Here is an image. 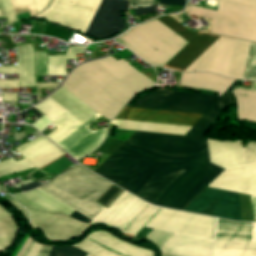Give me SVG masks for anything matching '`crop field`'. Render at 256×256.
I'll return each instance as SVG.
<instances>
[{
  "instance_id": "8a807250",
  "label": "crop field",
  "mask_w": 256,
  "mask_h": 256,
  "mask_svg": "<svg viewBox=\"0 0 256 256\" xmlns=\"http://www.w3.org/2000/svg\"><path fill=\"white\" fill-rule=\"evenodd\" d=\"M235 80L184 136L136 131L94 172L139 198L181 210L224 169L209 163L205 133L233 104Z\"/></svg>"
},
{
  "instance_id": "ac0d7876",
  "label": "crop field",
  "mask_w": 256,
  "mask_h": 256,
  "mask_svg": "<svg viewBox=\"0 0 256 256\" xmlns=\"http://www.w3.org/2000/svg\"><path fill=\"white\" fill-rule=\"evenodd\" d=\"M162 23L189 43L164 67L182 71L219 36L188 31L169 15L158 17ZM250 42L220 36L183 71H207L242 79ZM243 79L256 80V43L250 44Z\"/></svg>"
},
{
  "instance_id": "34b2d1b8",
  "label": "crop field",
  "mask_w": 256,
  "mask_h": 256,
  "mask_svg": "<svg viewBox=\"0 0 256 256\" xmlns=\"http://www.w3.org/2000/svg\"><path fill=\"white\" fill-rule=\"evenodd\" d=\"M92 62L134 94L155 85L122 59L117 61L108 56ZM94 64L88 62L76 67L66 81L116 115L134 94ZM66 81L62 86L97 113L110 120L115 116Z\"/></svg>"
},
{
  "instance_id": "412701ff",
  "label": "crop field",
  "mask_w": 256,
  "mask_h": 256,
  "mask_svg": "<svg viewBox=\"0 0 256 256\" xmlns=\"http://www.w3.org/2000/svg\"><path fill=\"white\" fill-rule=\"evenodd\" d=\"M218 97L216 95L158 90L144 95L137 102L207 110ZM140 103H135L133 107L124 106L115 118L192 126L205 112Z\"/></svg>"
},
{
  "instance_id": "f4fd0767",
  "label": "crop field",
  "mask_w": 256,
  "mask_h": 256,
  "mask_svg": "<svg viewBox=\"0 0 256 256\" xmlns=\"http://www.w3.org/2000/svg\"><path fill=\"white\" fill-rule=\"evenodd\" d=\"M57 178L95 201L112 184L80 165ZM57 178L40 188L90 219H93L104 209L95 201Z\"/></svg>"
},
{
  "instance_id": "dd49c442",
  "label": "crop field",
  "mask_w": 256,
  "mask_h": 256,
  "mask_svg": "<svg viewBox=\"0 0 256 256\" xmlns=\"http://www.w3.org/2000/svg\"><path fill=\"white\" fill-rule=\"evenodd\" d=\"M116 41L149 64L162 67L188 43L156 19L130 29Z\"/></svg>"
},
{
  "instance_id": "e52e79f7",
  "label": "crop field",
  "mask_w": 256,
  "mask_h": 256,
  "mask_svg": "<svg viewBox=\"0 0 256 256\" xmlns=\"http://www.w3.org/2000/svg\"><path fill=\"white\" fill-rule=\"evenodd\" d=\"M188 13L212 19L211 33L256 42V0H219L217 11L191 6Z\"/></svg>"
},
{
  "instance_id": "d8731c3e",
  "label": "crop field",
  "mask_w": 256,
  "mask_h": 256,
  "mask_svg": "<svg viewBox=\"0 0 256 256\" xmlns=\"http://www.w3.org/2000/svg\"><path fill=\"white\" fill-rule=\"evenodd\" d=\"M215 218L162 208L145 226L211 239Z\"/></svg>"
},
{
  "instance_id": "5a996713",
  "label": "crop field",
  "mask_w": 256,
  "mask_h": 256,
  "mask_svg": "<svg viewBox=\"0 0 256 256\" xmlns=\"http://www.w3.org/2000/svg\"><path fill=\"white\" fill-rule=\"evenodd\" d=\"M101 0H54L35 18L58 23L85 32Z\"/></svg>"
},
{
  "instance_id": "3316defc",
  "label": "crop field",
  "mask_w": 256,
  "mask_h": 256,
  "mask_svg": "<svg viewBox=\"0 0 256 256\" xmlns=\"http://www.w3.org/2000/svg\"><path fill=\"white\" fill-rule=\"evenodd\" d=\"M184 210L242 221L238 194L210 187Z\"/></svg>"
},
{
  "instance_id": "28ad6ade",
  "label": "crop field",
  "mask_w": 256,
  "mask_h": 256,
  "mask_svg": "<svg viewBox=\"0 0 256 256\" xmlns=\"http://www.w3.org/2000/svg\"><path fill=\"white\" fill-rule=\"evenodd\" d=\"M74 246L94 256H156L153 252L135 247L102 230L90 233L82 242Z\"/></svg>"
},
{
  "instance_id": "d1516ede",
  "label": "crop field",
  "mask_w": 256,
  "mask_h": 256,
  "mask_svg": "<svg viewBox=\"0 0 256 256\" xmlns=\"http://www.w3.org/2000/svg\"><path fill=\"white\" fill-rule=\"evenodd\" d=\"M129 0H102L86 35L101 39L113 36L124 28L123 10H127Z\"/></svg>"
},
{
  "instance_id": "22f410ed",
  "label": "crop field",
  "mask_w": 256,
  "mask_h": 256,
  "mask_svg": "<svg viewBox=\"0 0 256 256\" xmlns=\"http://www.w3.org/2000/svg\"><path fill=\"white\" fill-rule=\"evenodd\" d=\"M210 162L224 169L256 163V143L208 139Z\"/></svg>"
},
{
  "instance_id": "cbeb9de0",
  "label": "crop field",
  "mask_w": 256,
  "mask_h": 256,
  "mask_svg": "<svg viewBox=\"0 0 256 256\" xmlns=\"http://www.w3.org/2000/svg\"><path fill=\"white\" fill-rule=\"evenodd\" d=\"M27 210L29 211V215H30V218H31V223L30 224L34 228L38 227V229L42 231L43 235H45L47 237V239L52 240V241H68V240H71V239L81 235L82 233H84L85 230L89 226H91V225L87 226L88 224L75 221V220H73L69 217L63 216V215H58V214H53L52 215V214H47V213H43V212H38V211H35V210H31V209H27ZM46 219H48V220L45 221ZM40 225H41L42 229L45 231V233L49 237L54 238V239L70 238V237L76 235L77 233H79L86 226L87 227L84 230H82L79 234H77L76 236H74L70 239H67V240H53V239H50L44 233V231L39 227Z\"/></svg>"
},
{
  "instance_id": "5142ce71",
  "label": "crop field",
  "mask_w": 256,
  "mask_h": 256,
  "mask_svg": "<svg viewBox=\"0 0 256 256\" xmlns=\"http://www.w3.org/2000/svg\"><path fill=\"white\" fill-rule=\"evenodd\" d=\"M97 113L57 145L75 159L97 148L103 141L107 128L91 131L86 127L99 117Z\"/></svg>"
},
{
  "instance_id": "d9b57169",
  "label": "crop field",
  "mask_w": 256,
  "mask_h": 256,
  "mask_svg": "<svg viewBox=\"0 0 256 256\" xmlns=\"http://www.w3.org/2000/svg\"><path fill=\"white\" fill-rule=\"evenodd\" d=\"M208 186L236 193L256 195V164L227 169Z\"/></svg>"
},
{
  "instance_id": "733c2abd",
  "label": "crop field",
  "mask_w": 256,
  "mask_h": 256,
  "mask_svg": "<svg viewBox=\"0 0 256 256\" xmlns=\"http://www.w3.org/2000/svg\"><path fill=\"white\" fill-rule=\"evenodd\" d=\"M213 241L175 234L160 250L182 256H211Z\"/></svg>"
},
{
  "instance_id": "4a817a6b",
  "label": "crop field",
  "mask_w": 256,
  "mask_h": 256,
  "mask_svg": "<svg viewBox=\"0 0 256 256\" xmlns=\"http://www.w3.org/2000/svg\"><path fill=\"white\" fill-rule=\"evenodd\" d=\"M14 197L24 206L45 212L70 215L75 211L39 188Z\"/></svg>"
},
{
  "instance_id": "bc2a9ffb",
  "label": "crop field",
  "mask_w": 256,
  "mask_h": 256,
  "mask_svg": "<svg viewBox=\"0 0 256 256\" xmlns=\"http://www.w3.org/2000/svg\"><path fill=\"white\" fill-rule=\"evenodd\" d=\"M19 154L39 169L65 153L45 138Z\"/></svg>"
},
{
  "instance_id": "214f88e0",
  "label": "crop field",
  "mask_w": 256,
  "mask_h": 256,
  "mask_svg": "<svg viewBox=\"0 0 256 256\" xmlns=\"http://www.w3.org/2000/svg\"><path fill=\"white\" fill-rule=\"evenodd\" d=\"M233 81L209 73H182L178 84L224 92Z\"/></svg>"
},
{
  "instance_id": "92a150f3",
  "label": "crop field",
  "mask_w": 256,
  "mask_h": 256,
  "mask_svg": "<svg viewBox=\"0 0 256 256\" xmlns=\"http://www.w3.org/2000/svg\"><path fill=\"white\" fill-rule=\"evenodd\" d=\"M49 97L82 122L96 113L62 86Z\"/></svg>"
},
{
  "instance_id": "dafd665d",
  "label": "crop field",
  "mask_w": 256,
  "mask_h": 256,
  "mask_svg": "<svg viewBox=\"0 0 256 256\" xmlns=\"http://www.w3.org/2000/svg\"><path fill=\"white\" fill-rule=\"evenodd\" d=\"M252 223L217 219L215 240L251 241Z\"/></svg>"
},
{
  "instance_id": "00972430",
  "label": "crop field",
  "mask_w": 256,
  "mask_h": 256,
  "mask_svg": "<svg viewBox=\"0 0 256 256\" xmlns=\"http://www.w3.org/2000/svg\"><path fill=\"white\" fill-rule=\"evenodd\" d=\"M17 47L19 87H34V59L31 44Z\"/></svg>"
},
{
  "instance_id": "a9b5d70f",
  "label": "crop field",
  "mask_w": 256,
  "mask_h": 256,
  "mask_svg": "<svg viewBox=\"0 0 256 256\" xmlns=\"http://www.w3.org/2000/svg\"><path fill=\"white\" fill-rule=\"evenodd\" d=\"M233 93L238 104L239 120L256 122V83L251 89L237 87Z\"/></svg>"
},
{
  "instance_id": "4177f3b9",
  "label": "crop field",
  "mask_w": 256,
  "mask_h": 256,
  "mask_svg": "<svg viewBox=\"0 0 256 256\" xmlns=\"http://www.w3.org/2000/svg\"><path fill=\"white\" fill-rule=\"evenodd\" d=\"M111 123L117 125L118 128H121V129L151 131V132L179 134V135H184L187 132V130L190 128L185 126L151 124V123H143V122L118 120V119H114L113 121H111Z\"/></svg>"
},
{
  "instance_id": "730fd06b",
  "label": "crop field",
  "mask_w": 256,
  "mask_h": 256,
  "mask_svg": "<svg viewBox=\"0 0 256 256\" xmlns=\"http://www.w3.org/2000/svg\"><path fill=\"white\" fill-rule=\"evenodd\" d=\"M146 205L147 203L135 197L107 226L122 231Z\"/></svg>"
},
{
  "instance_id": "eef30255",
  "label": "crop field",
  "mask_w": 256,
  "mask_h": 256,
  "mask_svg": "<svg viewBox=\"0 0 256 256\" xmlns=\"http://www.w3.org/2000/svg\"><path fill=\"white\" fill-rule=\"evenodd\" d=\"M81 124L79 120L67 112L52 124L57 128L46 137L57 144Z\"/></svg>"
},
{
  "instance_id": "ae1a2a85",
  "label": "crop field",
  "mask_w": 256,
  "mask_h": 256,
  "mask_svg": "<svg viewBox=\"0 0 256 256\" xmlns=\"http://www.w3.org/2000/svg\"><path fill=\"white\" fill-rule=\"evenodd\" d=\"M134 197L135 196L124 191L107 209L105 208L90 223H103L106 225Z\"/></svg>"
},
{
  "instance_id": "d3111659",
  "label": "crop field",
  "mask_w": 256,
  "mask_h": 256,
  "mask_svg": "<svg viewBox=\"0 0 256 256\" xmlns=\"http://www.w3.org/2000/svg\"><path fill=\"white\" fill-rule=\"evenodd\" d=\"M160 207L147 205L123 232L136 235L139 230L160 210Z\"/></svg>"
},
{
  "instance_id": "750c4746",
  "label": "crop field",
  "mask_w": 256,
  "mask_h": 256,
  "mask_svg": "<svg viewBox=\"0 0 256 256\" xmlns=\"http://www.w3.org/2000/svg\"><path fill=\"white\" fill-rule=\"evenodd\" d=\"M17 19H24L39 14L35 0H11Z\"/></svg>"
},
{
  "instance_id": "bd1437ed",
  "label": "crop field",
  "mask_w": 256,
  "mask_h": 256,
  "mask_svg": "<svg viewBox=\"0 0 256 256\" xmlns=\"http://www.w3.org/2000/svg\"><path fill=\"white\" fill-rule=\"evenodd\" d=\"M34 108H36L53 122L67 112L49 97Z\"/></svg>"
},
{
  "instance_id": "1d83c4d3",
  "label": "crop field",
  "mask_w": 256,
  "mask_h": 256,
  "mask_svg": "<svg viewBox=\"0 0 256 256\" xmlns=\"http://www.w3.org/2000/svg\"><path fill=\"white\" fill-rule=\"evenodd\" d=\"M33 168L25 159L15 162L12 158L0 162V177Z\"/></svg>"
},
{
  "instance_id": "120bbe31",
  "label": "crop field",
  "mask_w": 256,
  "mask_h": 256,
  "mask_svg": "<svg viewBox=\"0 0 256 256\" xmlns=\"http://www.w3.org/2000/svg\"><path fill=\"white\" fill-rule=\"evenodd\" d=\"M85 46L69 47L66 55L47 56L48 65L66 64V59H76L75 54L82 53Z\"/></svg>"
},
{
  "instance_id": "d32e631a",
  "label": "crop field",
  "mask_w": 256,
  "mask_h": 256,
  "mask_svg": "<svg viewBox=\"0 0 256 256\" xmlns=\"http://www.w3.org/2000/svg\"><path fill=\"white\" fill-rule=\"evenodd\" d=\"M214 249L256 250V243L215 241Z\"/></svg>"
},
{
  "instance_id": "5866460e",
  "label": "crop field",
  "mask_w": 256,
  "mask_h": 256,
  "mask_svg": "<svg viewBox=\"0 0 256 256\" xmlns=\"http://www.w3.org/2000/svg\"><path fill=\"white\" fill-rule=\"evenodd\" d=\"M43 34L58 37V38H61L65 41L69 42L71 37L74 35V32L63 29L61 27L46 24L45 28H44V31H43Z\"/></svg>"
},
{
  "instance_id": "028f5c9d",
  "label": "crop field",
  "mask_w": 256,
  "mask_h": 256,
  "mask_svg": "<svg viewBox=\"0 0 256 256\" xmlns=\"http://www.w3.org/2000/svg\"><path fill=\"white\" fill-rule=\"evenodd\" d=\"M174 234L153 229L146 237L161 248Z\"/></svg>"
},
{
  "instance_id": "e1f06a70",
  "label": "crop field",
  "mask_w": 256,
  "mask_h": 256,
  "mask_svg": "<svg viewBox=\"0 0 256 256\" xmlns=\"http://www.w3.org/2000/svg\"><path fill=\"white\" fill-rule=\"evenodd\" d=\"M48 256H86V253L74 247H52Z\"/></svg>"
},
{
  "instance_id": "0bd39190",
  "label": "crop field",
  "mask_w": 256,
  "mask_h": 256,
  "mask_svg": "<svg viewBox=\"0 0 256 256\" xmlns=\"http://www.w3.org/2000/svg\"><path fill=\"white\" fill-rule=\"evenodd\" d=\"M35 70L36 76L48 75L46 52H35Z\"/></svg>"
},
{
  "instance_id": "b80d0937",
  "label": "crop field",
  "mask_w": 256,
  "mask_h": 256,
  "mask_svg": "<svg viewBox=\"0 0 256 256\" xmlns=\"http://www.w3.org/2000/svg\"><path fill=\"white\" fill-rule=\"evenodd\" d=\"M121 190L112 184L96 202L106 206Z\"/></svg>"
},
{
  "instance_id": "c035e120",
  "label": "crop field",
  "mask_w": 256,
  "mask_h": 256,
  "mask_svg": "<svg viewBox=\"0 0 256 256\" xmlns=\"http://www.w3.org/2000/svg\"><path fill=\"white\" fill-rule=\"evenodd\" d=\"M18 228L15 221L0 223V237L17 235Z\"/></svg>"
},
{
  "instance_id": "c21b1889",
  "label": "crop field",
  "mask_w": 256,
  "mask_h": 256,
  "mask_svg": "<svg viewBox=\"0 0 256 256\" xmlns=\"http://www.w3.org/2000/svg\"><path fill=\"white\" fill-rule=\"evenodd\" d=\"M213 256H256V252L214 250Z\"/></svg>"
},
{
  "instance_id": "03da06ac",
  "label": "crop field",
  "mask_w": 256,
  "mask_h": 256,
  "mask_svg": "<svg viewBox=\"0 0 256 256\" xmlns=\"http://www.w3.org/2000/svg\"><path fill=\"white\" fill-rule=\"evenodd\" d=\"M1 2H2L4 11H5L7 20H8V23L10 24V23L16 21L17 19L15 17V14H14V11L12 9L10 1L9 0H1Z\"/></svg>"
},
{
  "instance_id": "b54c1fbb",
  "label": "crop field",
  "mask_w": 256,
  "mask_h": 256,
  "mask_svg": "<svg viewBox=\"0 0 256 256\" xmlns=\"http://www.w3.org/2000/svg\"><path fill=\"white\" fill-rule=\"evenodd\" d=\"M49 75H65V65L48 66Z\"/></svg>"
},
{
  "instance_id": "5d738f31",
  "label": "crop field",
  "mask_w": 256,
  "mask_h": 256,
  "mask_svg": "<svg viewBox=\"0 0 256 256\" xmlns=\"http://www.w3.org/2000/svg\"><path fill=\"white\" fill-rule=\"evenodd\" d=\"M16 238H17V236L10 237V238H1L0 239V251L9 248L13 244V242Z\"/></svg>"
},
{
  "instance_id": "d23c7cc5",
  "label": "crop field",
  "mask_w": 256,
  "mask_h": 256,
  "mask_svg": "<svg viewBox=\"0 0 256 256\" xmlns=\"http://www.w3.org/2000/svg\"><path fill=\"white\" fill-rule=\"evenodd\" d=\"M37 86V99L40 101V88L45 89H56L59 84L58 83H46V84H36Z\"/></svg>"
},
{
  "instance_id": "425ffa30",
  "label": "crop field",
  "mask_w": 256,
  "mask_h": 256,
  "mask_svg": "<svg viewBox=\"0 0 256 256\" xmlns=\"http://www.w3.org/2000/svg\"><path fill=\"white\" fill-rule=\"evenodd\" d=\"M0 88H18V80H0Z\"/></svg>"
},
{
  "instance_id": "25e5ab78",
  "label": "crop field",
  "mask_w": 256,
  "mask_h": 256,
  "mask_svg": "<svg viewBox=\"0 0 256 256\" xmlns=\"http://www.w3.org/2000/svg\"><path fill=\"white\" fill-rule=\"evenodd\" d=\"M50 123H52V122L50 120H48L46 117L43 116L36 123H34L32 126H34L36 129H38L40 131L41 129H43L44 127L49 125Z\"/></svg>"
},
{
  "instance_id": "73cf0c24",
  "label": "crop field",
  "mask_w": 256,
  "mask_h": 256,
  "mask_svg": "<svg viewBox=\"0 0 256 256\" xmlns=\"http://www.w3.org/2000/svg\"><path fill=\"white\" fill-rule=\"evenodd\" d=\"M43 138H45V137L40 136V137L36 138L35 140H33V141L27 143V144H26V143L23 144L22 146L18 147V148L15 149V150L19 153V152L23 151L24 149L28 148L29 146H31V145L35 144L36 142L40 141V140L43 139Z\"/></svg>"
},
{
  "instance_id": "89e229c0",
  "label": "crop field",
  "mask_w": 256,
  "mask_h": 256,
  "mask_svg": "<svg viewBox=\"0 0 256 256\" xmlns=\"http://www.w3.org/2000/svg\"><path fill=\"white\" fill-rule=\"evenodd\" d=\"M5 198L8 199L21 212V214L28 219L27 212L21 208L10 196L6 195Z\"/></svg>"
},
{
  "instance_id": "1f2cbd36",
  "label": "crop field",
  "mask_w": 256,
  "mask_h": 256,
  "mask_svg": "<svg viewBox=\"0 0 256 256\" xmlns=\"http://www.w3.org/2000/svg\"><path fill=\"white\" fill-rule=\"evenodd\" d=\"M133 11H134L135 15H138V14H143V13L154 12L156 10H155L154 6H151V7H146V8L135 9Z\"/></svg>"
},
{
  "instance_id": "dbb93151",
  "label": "crop field",
  "mask_w": 256,
  "mask_h": 256,
  "mask_svg": "<svg viewBox=\"0 0 256 256\" xmlns=\"http://www.w3.org/2000/svg\"><path fill=\"white\" fill-rule=\"evenodd\" d=\"M161 4L184 5L185 0H159Z\"/></svg>"
},
{
  "instance_id": "0fb4a251",
  "label": "crop field",
  "mask_w": 256,
  "mask_h": 256,
  "mask_svg": "<svg viewBox=\"0 0 256 256\" xmlns=\"http://www.w3.org/2000/svg\"><path fill=\"white\" fill-rule=\"evenodd\" d=\"M0 73H17V65L10 67H0Z\"/></svg>"
},
{
  "instance_id": "1d79db26",
  "label": "crop field",
  "mask_w": 256,
  "mask_h": 256,
  "mask_svg": "<svg viewBox=\"0 0 256 256\" xmlns=\"http://www.w3.org/2000/svg\"><path fill=\"white\" fill-rule=\"evenodd\" d=\"M40 247H41V244H38V243L34 242V244L31 247L29 253L27 254V256H36V254L38 253Z\"/></svg>"
},
{
  "instance_id": "9d1cf04e",
  "label": "crop field",
  "mask_w": 256,
  "mask_h": 256,
  "mask_svg": "<svg viewBox=\"0 0 256 256\" xmlns=\"http://www.w3.org/2000/svg\"><path fill=\"white\" fill-rule=\"evenodd\" d=\"M38 7H39V11L44 10L50 3V0H36Z\"/></svg>"
},
{
  "instance_id": "447ae74e",
  "label": "crop field",
  "mask_w": 256,
  "mask_h": 256,
  "mask_svg": "<svg viewBox=\"0 0 256 256\" xmlns=\"http://www.w3.org/2000/svg\"><path fill=\"white\" fill-rule=\"evenodd\" d=\"M73 218H76L78 220L84 221L86 223H88L90 220L86 217H84L83 215L79 214L78 212H74L73 214L70 215Z\"/></svg>"
},
{
  "instance_id": "0765c3eb",
  "label": "crop field",
  "mask_w": 256,
  "mask_h": 256,
  "mask_svg": "<svg viewBox=\"0 0 256 256\" xmlns=\"http://www.w3.org/2000/svg\"><path fill=\"white\" fill-rule=\"evenodd\" d=\"M5 101H17L18 94H2Z\"/></svg>"
},
{
  "instance_id": "db79e9e6",
  "label": "crop field",
  "mask_w": 256,
  "mask_h": 256,
  "mask_svg": "<svg viewBox=\"0 0 256 256\" xmlns=\"http://www.w3.org/2000/svg\"><path fill=\"white\" fill-rule=\"evenodd\" d=\"M51 247H46V246H43L41 247L39 253L37 254V256H47L49 250H50Z\"/></svg>"
},
{
  "instance_id": "7b73153f",
  "label": "crop field",
  "mask_w": 256,
  "mask_h": 256,
  "mask_svg": "<svg viewBox=\"0 0 256 256\" xmlns=\"http://www.w3.org/2000/svg\"><path fill=\"white\" fill-rule=\"evenodd\" d=\"M153 3V0H131L130 5Z\"/></svg>"
},
{
  "instance_id": "78b8030e",
  "label": "crop field",
  "mask_w": 256,
  "mask_h": 256,
  "mask_svg": "<svg viewBox=\"0 0 256 256\" xmlns=\"http://www.w3.org/2000/svg\"><path fill=\"white\" fill-rule=\"evenodd\" d=\"M39 185H40V184H38V183H36V182H33V183L28 184V185H26V186H24V187H21V188H19V189H21V190L24 192V191H26V190L35 188V187H37V186H39Z\"/></svg>"
},
{
  "instance_id": "0f1d7ab4",
  "label": "crop field",
  "mask_w": 256,
  "mask_h": 256,
  "mask_svg": "<svg viewBox=\"0 0 256 256\" xmlns=\"http://www.w3.org/2000/svg\"><path fill=\"white\" fill-rule=\"evenodd\" d=\"M252 208L254 213V219L256 221V196H251Z\"/></svg>"
},
{
  "instance_id": "e1d0b9f6",
  "label": "crop field",
  "mask_w": 256,
  "mask_h": 256,
  "mask_svg": "<svg viewBox=\"0 0 256 256\" xmlns=\"http://www.w3.org/2000/svg\"><path fill=\"white\" fill-rule=\"evenodd\" d=\"M30 238L28 237V239L26 240V242L24 243V245L22 246V248L20 249V251L18 252V254L16 256H21V254L23 253V251L25 250L26 246L28 245V243L30 242Z\"/></svg>"
},
{
  "instance_id": "ae633e8c",
  "label": "crop field",
  "mask_w": 256,
  "mask_h": 256,
  "mask_svg": "<svg viewBox=\"0 0 256 256\" xmlns=\"http://www.w3.org/2000/svg\"><path fill=\"white\" fill-rule=\"evenodd\" d=\"M8 217H10V215L0 208V218H8Z\"/></svg>"
},
{
  "instance_id": "d14b1444",
  "label": "crop field",
  "mask_w": 256,
  "mask_h": 256,
  "mask_svg": "<svg viewBox=\"0 0 256 256\" xmlns=\"http://www.w3.org/2000/svg\"><path fill=\"white\" fill-rule=\"evenodd\" d=\"M34 241L31 240V242L29 243L28 247L26 248V250L24 251L22 256H26L27 252L29 251L30 247L32 246Z\"/></svg>"
},
{
  "instance_id": "c39391a2",
  "label": "crop field",
  "mask_w": 256,
  "mask_h": 256,
  "mask_svg": "<svg viewBox=\"0 0 256 256\" xmlns=\"http://www.w3.org/2000/svg\"><path fill=\"white\" fill-rule=\"evenodd\" d=\"M0 13H1L2 18H6L5 14H4V11H3V8H2V5H1V2H0Z\"/></svg>"
},
{
  "instance_id": "ade564c9",
  "label": "crop field",
  "mask_w": 256,
  "mask_h": 256,
  "mask_svg": "<svg viewBox=\"0 0 256 256\" xmlns=\"http://www.w3.org/2000/svg\"><path fill=\"white\" fill-rule=\"evenodd\" d=\"M252 242H256V232H253Z\"/></svg>"
},
{
  "instance_id": "c5b07064",
  "label": "crop field",
  "mask_w": 256,
  "mask_h": 256,
  "mask_svg": "<svg viewBox=\"0 0 256 256\" xmlns=\"http://www.w3.org/2000/svg\"><path fill=\"white\" fill-rule=\"evenodd\" d=\"M9 220H12V218H8V219H0V222H1V221H9Z\"/></svg>"
},
{
  "instance_id": "c3a83c6f",
  "label": "crop field",
  "mask_w": 256,
  "mask_h": 256,
  "mask_svg": "<svg viewBox=\"0 0 256 256\" xmlns=\"http://www.w3.org/2000/svg\"><path fill=\"white\" fill-rule=\"evenodd\" d=\"M253 231H256V223H253Z\"/></svg>"
},
{
  "instance_id": "fb207236",
  "label": "crop field",
  "mask_w": 256,
  "mask_h": 256,
  "mask_svg": "<svg viewBox=\"0 0 256 256\" xmlns=\"http://www.w3.org/2000/svg\"><path fill=\"white\" fill-rule=\"evenodd\" d=\"M162 256H171V255L162 254Z\"/></svg>"
},
{
  "instance_id": "7312dd0a",
  "label": "crop field",
  "mask_w": 256,
  "mask_h": 256,
  "mask_svg": "<svg viewBox=\"0 0 256 256\" xmlns=\"http://www.w3.org/2000/svg\"><path fill=\"white\" fill-rule=\"evenodd\" d=\"M87 256H90V255H87Z\"/></svg>"
},
{
  "instance_id": "180be81f",
  "label": "crop field",
  "mask_w": 256,
  "mask_h": 256,
  "mask_svg": "<svg viewBox=\"0 0 256 256\" xmlns=\"http://www.w3.org/2000/svg\"><path fill=\"white\" fill-rule=\"evenodd\" d=\"M1 17V16H0Z\"/></svg>"
}]
</instances>
